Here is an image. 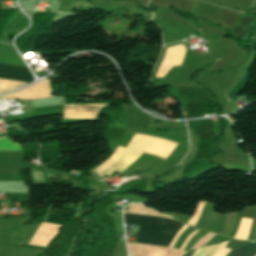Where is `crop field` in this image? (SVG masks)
<instances>
[{
  "instance_id": "34b2d1b8",
  "label": "crop field",
  "mask_w": 256,
  "mask_h": 256,
  "mask_svg": "<svg viewBox=\"0 0 256 256\" xmlns=\"http://www.w3.org/2000/svg\"><path fill=\"white\" fill-rule=\"evenodd\" d=\"M195 251H196V250H194V251H192V252H189V253H187V254H185V255H183V256H192Z\"/></svg>"
},
{
  "instance_id": "ac0d7876",
  "label": "crop field",
  "mask_w": 256,
  "mask_h": 256,
  "mask_svg": "<svg viewBox=\"0 0 256 256\" xmlns=\"http://www.w3.org/2000/svg\"><path fill=\"white\" fill-rule=\"evenodd\" d=\"M255 242H251L247 245L239 247L232 252H230L227 256H242L244 255L253 245ZM256 255V244L244 255V256H255Z\"/></svg>"
},
{
  "instance_id": "8a807250",
  "label": "crop field",
  "mask_w": 256,
  "mask_h": 256,
  "mask_svg": "<svg viewBox=\"0 0 256 256\" xmlns=\"http://www.w3.org/2000/svg\"><path fill=\"white\" fill-rule=\"evenodd\" d=\"M126 224L140 225L135 242L168 247L184 225L175 220L124 213Z\"/></svg>"
},
{
  "instance_id": "f4fd0767",
  "label": "crop field",
  "mask_w": 256,
  "mask_h": 256,
  "mask_svg": "<svg viewBox=\"0 0 256 256\" xmlns=\"http://www.w3.org/2000/svg\"><path fill=\"white\" fill-rule=\"evenodd\" d=\"M213 246V245H212ZM211 249V248H210Z\"/></svg>"
},
{
  "instance_id": "412701ff",
  "label": "crop field",
  "mask_w": 256,
  "mask_h": 256,
  "mask_svg": "<svg viewBox=\"0 0 256 256\" xmlns=\"http://www.w3.org/2000/svg\"><path fill=\"white\" fill-rule=\"evenodd\" d=\"M200 250V248L199 249H197V251L194 253V256H196V254L198 253V251Z\"/></svg>"
}]
</instances>
